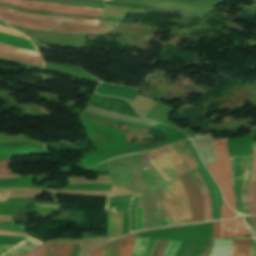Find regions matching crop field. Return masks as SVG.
Segmentation results:
<instances>
[{
    "mask_svg": "<svg viewBox=\"0 0 256 256\" xmlns=\"http://www.w3.org/2000/svg\"><path fill=\"white\" fill-rule=\"evenodd\" d=\"M135 235H130L124 238H121V254L120 256H131L133 249V244L135 240Z\"/></svg>",
    "mask_w": 256,
    "mask_h": 256,
    "instance_id": "92a150f3",
    "label": "crop field"
},
{
    "mask_svg": "<svg viewBox=\"0 0 256 256\" xmlns=\"http://www.w3.org/2000/svg\"><path fill=\"white\" fill-rule=\"evenodd\" d=\"M181 242L169 241L163 256H175Z\"/></svg>",
    "mask_w": 256,
    "mask_h": 256,
    "instance_id": "a9b5d70f",
    "label": "crop field"
},
{
    "mask_svg": "<svg viewBox=\"0 0 256 256\" xmlns=\"http://www.w3.org/2000/svg\"><path fill=\"white\" fill-rule=\"evenodd\" d=\"M251 229L253 230L256 238V217L250 218Z\"/></svg>",
    "mask_w": 256,
    "mask_h": 256,
    "instance_id": "028f5c9d",
    "label": "crop field"
},
{
    "mask_svg": "<svg viewBox=\"0 0 256 256\" xmlns=\"http://www.w3.org/2000/svg\"><path fill=\"white\" fill-rule=\"evenodd\" d=\"M0 47H1V48H5V49H8V50H12V51H17V52L29 54V55L40 56V55L38 54V52L30 51V50H24V49H18V48H14V47H10V46L4 45V44H2V43H0Z\"/></svg>",
    "mask_w": 256,
    "mask_h": 256,
    "instance_id": "ae1a2a85",
    "label": "crop field"
},
{
    "mask_svg": "<svg viewBox=\"0 0 256 256\" xmlns=\"http://www.w3.org/2000/svg\"><path fill=\"white\" fill-rule=\"evenodd\" d=\"M142 229V207H137V230Z\"/></svg>",
    "mask_w": 256,
    "mask_h": 256,
    "instance_id": "750c4746",
    "label": "crop field"
},
{
    "mask_svg": "<svg viewBox=\"0 0 256 256\" xmlns=\"http://www.w3.org/2000/svg\"><path fill=\"white\" fill-rule=\"evenodd\" d=\"M36 206H40V207H51V208H57L58 206H47V205H36Z\"/></svg>",
    "mask_w": 256,
    "mask_h": 256,
    "instance_id": "03da06ac",
    "label": "crop field"
},
{
    "mask_svg": "<svg viewBox=\"0 0 256 256\" xmlns=\"http://www.w3.org/2000/svg\"><path fill=\"white\" fill-rule=\"evenodd\" d=\"M77 1L100 3V4H104V2H105V1H102V0H77Z\"/></svg>",
    "mask_w": 256,
    "mask_h": 256,
    "instance_id": "b80d0937",
    "label": "crop field"
},
{
    "mask_svg": "<svg viewBox=\"0 0 256 256\" xmlns=\"http://www.w3.org/2000/svg\"><path fill=\"white\" fill-rule=\"evenodd\" d=\"M190 197L193 222L203 221V206L201 193L192 178L186 173L180 176Z\"/></svg>",
    "mask_w": 256,
    "mask_h": 256,
    "instance_id": "e52e79f7",
    "label": "crop field"
},
{
    "mask_svg": "<svg viewBox=\"0 0 256 256\" xmlns=\"http://www.w3.org/2000/svg\"><path fill=\"white\" fill-rule=\"evenodd\" d=\"M152 239L136 238L132 256H146Z\"/></svg>",
    "mask_w": 256,
    "mask_h": 256,
    "instance_id": "214f88e0",
    "label": "crop field"
},
{
    "mask_svg": "<svg viewBox=\"0 0 256 256\" xmlns=\"http://www.w3.org/2000/svg\"><path fill=\"white\" fill-rule=\"evenodd\" d=\"M0 235H7V236H17V237H25V233H16V232H10V231H2L0 230Z\"/></svg>",
    "mask_w": 256,
    "mask_h": 256,
    "instance_id": "120bbe31",
    "label": "crop field"
},
{
    "mask_svg": "<svg viewBox=\"0 0 256 256\" xmlns=\"http://www.w3.org/2000/svg\"><path fill=\"white\" fill-rule=\"evenodd\" d=\"M109 1H112V0H109Z\"/></svg>",
    "mask_w": 256,
    "mask_h": 256,
    "instance_id": "89e229c0",
    "label": "crop field"
},
{
    "mask_svg": "<svg viewBox=\"0 0 256 256\" xmlns=\"http://www.w3.org/2000/svg\"><path fill=\"white\" fill-rule=\"evenodd\" d=\"M10 216H13V215H10ZM0 217H7V216H0Z\"/></svg>",
    "mask_w": 256,
    "mask_h": 256,
    "instance_id": "425ffa30",
    "label": "crop field"
},
{
    "mask_svg": "<svg viewBox=\"0 0 256 256\" xmlns=\"http://www.w3.org/2000/svg\"><path fill=\"white\" fill-rule=\"evenodd\" d=\"M175 146L177 150L180 152V154L182 155L188 168L190 169V170H187V172L193 178V180L197 183V185L200 187L202 191L203 201H204V221L212 220V207H211V201H210V194L204 181L201 179V177L198 175V173L194 169V167H197V164L195 163L184 141L175 143Z\"/></svg>",
    "mask_w": 256,
    "mask_h": 256,
    "instance_id": "f4fd0767",
    "label": "crop field"
},
{
    "mask_svg": "<svg viewBox=\"0 0 256 256\" xmlns=\"http://www.w3.org/2000/svg\"><path fill=\"white\" fill-rule=\"evenodd\" d=\"M214 148L217 161L206 164V166L223 192L226 202L235 210L230 173V157L227 155L225 139L214 140Z\"/></svg>",
    "mask_w": 256,
    "mask_h": 256,
    "instance_id": "ac0d7876",
    "label": "crop field"
},
{
    "mask_svg": "<svg viewBox=\"0 0 256 256\" xmlns=\"http://www.w3.org/2000/svg\"><path fill=\"white\" fill-rule=\"evenodd\" d=\"M254 201H255V211H256V189H255V192H254Z\"/></svg>",
    "mask_w": 256,
    "mask_h": 256,
    "instance_id": "5d738f31",
    "label": "crop field"
},
{
    "mask_svg": "<svg viewBox=\"0 0 256 256\" xmlns=\"http://www.w3.org/2000/svg\"><path fill=\"white\" fill-rule=\"evenodd\" d=\"M212 247H213V240L211 239L207 249L203 253H201L199 256H209Z\"/></svg>",
    "mask_w": 256,
    "mask_h": 256,
    "instance_id": "5866460e",
    "label": "crop field"
},
{
    "mask_svg": "<svg viewBox=\"0 0 256 256\" xmlns=\"http://www.w3.org/2000/svg\"><path fill=\"white\" fill-rule=\"evenodd\" d=\"M212 238L220 239V222L213 223Z\"/></svg>",
    "mask_w": 256,
    "mask_h": 256,
    "instance_id": "d3111659",
    "label": "crop field"
},
{
    "mask_svg": "<svg viewBox=\"0 0 256 256\" xmlns=\"http://www.w3.org/2000/svg\"><path fill=\"white\" fill-rule=\"evenodd\" d=\"M0 32H3V33H7V34H11V35H15V36H19V37H23V38H27L25 37L24 35L14 31V30H11V29H7V28H4V27H1L0 26ZM28 39V38H27Z\"/></svg>",
    "mask_w": 256,
    "mask_h": 256,
    "instance_id": "bd1437ed",
    "label": "crop field"
},
{
    "mask_svg": "<svg viewBox=\"0 0 256 256\" xmlns=\"http://www.w3.org/2000/svg\"><path fill=\"white\" fill-rule=\"evenodd\" d=\"M34 149L30 148H6L0 149V154L4 153H31Z\"/></svg>",
    "mask_w": 256,
    "mask_h": 256,
    "instance_id": "730fd06b",
    "label": "crop field"
},
{
    "mask_svg": "<svg viewBox=\"0 0 256 256\" xmlns=\"http://www.w3.org/2000/svg\"><path fill=\"white\" fill-rule=\"evenodd\" d=\"M231 242L214 240V248L210 256H229Z\"/></svg>",
    "mask_w": 256,
    "mask_h": 256,
    "instance_id": "bc2a9ffb",
    "label": "crop field"
},
{
    "mask_svg": "<svg viewBox=\"0 0 256 256\" xmlns=\"http://www.w3.org/2000/svg\"><path fill=\"white\" fill-rule=\"evenodd\" d=\"M252 239L234 240L230 256H249L251 250Z\"/></svg>",
    "mask_w": 256,
    "mask_h": 256,
    "instance_id": "733c2abd",
    "label": "crop field"
},
{
    "mask_svg": "<svg viewBox=\"0 0 256 256\" xmlns=\"http://www.w3.org/2000/svg\"><path fill=\"white\" fill-rule=\"evenodd\" d=\"M0 42L8 44V45L16 46V47L35 50V48L31 44L30 40L19 38V37H14V36L3 34V33H0Z\"/></svg>",
    "mask_w": 256,
    "mask_h": 256,
    "instance_id": "4a817a6b",
    "label": "crop field"
},
{
    "mask_svg": "<svg viewBox=\"0 0 256 256\" xmlns=\"http://www.w3.org/2000/svg\"><path fill=\"white\" fill-rule=\"evenodd\" d=\"M137 206H143V229L167 225L162 186H146Z\"/></svg>",
    "mask_w": 256,
    "mask_h": 256,
    "instance_id": "34b2d1b8",
    "label": "crop field"
},
{
    "mask_svg": "<svg viewBox=\"0 0 256 256\" xmlns=\"http://www.w3.org/2000/svg\"><path fill=\"white\" fill-rule=\"evenodd\" d=\"M250 256H256V240H253L252 251Z\"/></svg>",
    "mask_w": 256,
    "mask_h": 256,
    "instance_id": "e1f06a70",
    "label": "crop field"
},
{
    "mask_svg": "<svg viewBox=\"0 0 256 256\" xmlns=\"http://www.w3.org/2000/svg\"><path fill=\"white\" fill-rule=\"evenodd\" d=\"M0 56L5 57V58H9V59H13V60H17V61H20V62L28 63V64L43 66V63L40 62V61L22 59V58H18V57L9 56V55L3 54V53H0Z\"/></svg>",
    "mask_w": 256,
    "mask_h": 256,
    "instance_id": "eef30255",
    "label": "crop field"
},
{
    "mask_svg": "<svg viewBox=\"0 0 256 256\" xmlns=\"http://www.w3.org/2000/svg\"><path fill=\"white\" fill-rule=\"evenodd\" d=\"M250 234L249 228L242 219L221 222V239Z\"/></svg>",
    "mask_w": 256,
    "mask_h": 256,
    "instance_id": "3316defc",
    "label": "crop field"
},
{
    "mask_svg": "<svg viewBox=\"0 0 256 256\" xmlns=\"http://www.w3.org/2000/svg\"><path fill=\"white\" fill-rule=\"evenodd\" d=\"M120 240L103 246L102 256H119Z\"/></svg>",
    "mask_w": 256,
    "mask_h": 256,
    "instance_id": "dafd665d",
    "label": "crop field"
},
{
    "mask_svg": "<svg viewBox=\"0 0 256 256\" xmlns=\"http://www.w3.org/2000/svg\"><path fill=\"white\" fill-rule=\"evenodd\" d=\"M102 247L91 252V256H101Z\"/></svg>",
    "mask_w": 256,
    "mask_h": 256,
    "instance_id": "0bd39190",
    "label": "crop field"
},
{
    "mask_svg": "<svg viewBox=\"0 0 256 256\" xmlns=\"http://www.w3.org/2000/svg\"><path fill=\"white\" fill-rule=\"evenodd\" d=\"M0 17L8 23L18 24L26 27H36L41 29H48L54 23L52 21H44L38 19H30V18H23V17H16L11 14H7L5 12L0 11Z\"/></svg>",
    "mask_w": 256,
    "mask_h": 256,
    "instance_id": "22f410ed",
    "label": "crop field"
},
{
    "mask_svg": "<svg viewBox=\"0 0 256 256\" xmlns=\"http://www.w3.org/2000/svg\"><path fill=\"white\" fill-rule=\"evenodd\" d=\"M109 28L110 27H105V26H93V25L57 22L50 29L58 30V31H66V32H76V33H85V32L105 33Z\"/></svg>",
    "mask_w": 256,
    "mask_h": 256,
    "instance_id": "d1516ede",
    "label": "crop field"
},
{
    "mask_svg": "<svg viewBox=\"0 0 256 256\" xmlns=\"http://www.w3.org/2000/svg\"><path fill=\"white\" fill-rule=\"evenodd\" d=\"M122 235V212L108 214L107 237Z\"/></svg>",
    "mask_w": 256,
    "mask_h": 256,
    "instance_id": "d9b57169",
    "label": "crop field"
},
{
    "mask_svg": "<svg viewBox=\"0 0 256 256\" xmlns=\"http://www.w3.org/2000/svg\"><path fill=\"white\" fill-rule=\"evenodd\" d=\"M139 196H123L109 198L105 209L114 208V213L129 210L130 226L129 232L135 230V204Z\"/></svg>",
    "mask_w": 256,
    "mask_h": 256,
    "instance_id": "d8731c3e",
    "label": "crop field"
},
{
    "mask_svg": "<svg viewBox=\"0 0 256 256\" xmlns=\"http://www.w3.org/2000/svg\"><path fill=\"white\" fill-rule=\"evenodd\" d=\"M153 161V159H151ZM154 162V161H153ZM155 163V162H154ZM156 165V164H155ZM157 166V165H156ZM159 169V168H158ZM160 170V169H159Z\"/></svg>",
    "mask_w": 256,
    "mask_h": 256,
    "instance_id": "25e5ab78",
    "label": "crop field"
},
{
    "mask_svg": "<svg viewBox=\"0 0 256 256\" xmlns=\"http://www.w3.org/2000/svg\"><path fill=\"white\" fill-rule=\"evenodd\" d=\"M251 161L252 155L246 156V171H245V156L244 157H233L231 158V173L234 196L236 200V212L241 214V203H240V190L242 185V180L244 176V181L241 190V202H242V214L248 215L247 209V198L246 191L251 171Z\"/></svg>",
    "mask_w": 256,
    "mask_h": 256,
    "instance_id": "412701ff",
    "label": "crop field"
},
{
    "mask_svg": "<svg viewBox=\"0 0 256 256\" xmlns=\"http://www.w3.org/2000/svg\"><path fill=\"white\" fill-rule=\"evenodd\" d=\"M0 52H3V51H0ZM4 53H6V52H4ZM7 54H9V55H15V56H21V55L11 54V53H7ZM21 57H25V58H29V59H34V60H40V59L31 58V57H26V56H21ZM40 61H42V60H40Z\"/></svg>",
    "mask_w": 256,
    "mask_h": 256,
    "instance_id": "c035e120",
    "label": "crop field"
},
{
    "mask_svg": "<svg viewBox=\"0 0 256 256\" xmlns=\"http://www.w3.org/2000/svg\"><path fill=\"white\" fill-rule=\"evenodd\" d=\"M11 175H14V174L10 173L8 165L0 166V176H11Z\"/></svg>",
    "mask_w": 256,
    "mask_h": 256,
    "instance_id": "d32e631a",
    "label": "crop field"
},
{
    "mask_svg": "<svg viewBox=\"0 0 256 256\" xmlns=\"http://www.w3.org/2000/svg\"><path fill=\"white\" fill-rule=\"evenodd\" d=\"M168 241L160 240L156 256H162Z\"/></svg>",
    "mask_w": 256,
    "mask_h": 256,
    "instance_id": "1d83c4d3",
    "label": "crop field"
},
{
    "mask_svg": "<svg viewBox=\"0 0 256 256\" xmlns=\"http://www.w3.org/2000/svg\"><path fill=\"white\" fill-rule=\"evenodd\" d=\"M0 201H7L4 192H0Z\"/></svg>",
    "mask_w": 256,
    "mask_h": 256,
    "instance_id": "c21b1889",
    "label": "crop field"
},
{
    "mask_svg": "<svg viewBox=\"0 0 256 256\" xmlns=\"http://www.w3.org/2000/svg\"><path fill=\"white\" fill-rule=\"evenodd\" d=\"M87 256H90V254H88Z\"/></svg>",
    "mask_w": 256,
    "mask_h": 256,
    "instance_id": "73cf0c24",
    "label": "crop field"
},
{
    "mask_svg": "<svg viewBox=\"0 0 256 256\" xmlns=\"http://www.w3.org/2000/svg\"><path fill=\"white\" fill-rule=\"evenodd\" d=\"M162 172L171 180L164 185L168 225L192 222L187 192L179 179L187 167L173 144L148 151Z\"/></svg>",
    "mask_w": 256,
    "mask_h": 256,
    "instance_id": "8a807250",
    "label": "crop field"
},
{
    "mask_svg": "<svg viewBox=\"0 0 256 256\" xmlns=\"http://www.w3.org/2000/svg\"><path fill=\"white\" fill-rule=\"evenodd\" d=\"M9 164V161H0V165Z\"/></svg>",
    "mask_w": 256,
    "mask_h": 256,
    "instance_id": "d23c7cc5",
    "label": "crop field"
},
{
    "mask_svg": "<svg viewBox=\"0 0 256 256\" xmlns=\"http://www.w3.org/2000/svg\"><path fill=\"white\" fill-rule=\"evenodd\" d=\"M0 10L11 13V14H16L18 16L45 19V20L74 22V23H87V24H94V25H98V23H99V21H95V20H79V19H71V18L48 17V16H41V15H35V14H28V13H19L14 10L5 9L1 6H0Z\"/></svg>",
    "mask_w": 256,
    "mask_h": 256,
    "instance_id": "cbeb9de0",
    "label": "crop field"
},
{
    "mask_svg": "<svg viewBox=\"0 0 256 256\" xmlns=\"http://www.w3.org/2000/svg\"><path fill=\"white\" fill-rule=\"evenodd\" d=\"M235 212L231 210L222 198L221 219L234 217Z\"/></svg>",
    "mask_w": 256,
    "mask_h": 256,
    "instance_id": "4177f3b9",
    "label": "crop field"
},
{
    "mask_svg": "<svg viewBox=\"0 0 256 256\" xmlns=\"http://www.w3.org/2000/svg\"><path fill=\"white\" fill-rule=\"evenodd\" d=\"M0 147H33V148L47 150V147L38 146V145L31 144V143H24V142L0 143Z\"/></svg>",
    "mask_w": 256,
    "mask_h": 256,
    "instance_id": "00972430",
    "label": "crop field"
},
{
    "mask_svg": "<svg viewBox=\"0 0 256 256\" xmlns=\"http://www.w3.org/2000/svg\"><path fill=\"white\" fill-rule=\"evenodd\" d=\"M0 1L23 6L30 9L49 10V11H58V12H66V13H73V14L93 15V16H99L102 10V9L82 8V7L53 4V3L35 2V1H29V0H0Z\"/></svg>",
    "mask_w": 256,
    "mask_h": 256,
    "instance_id": "dd49c442",
    "label": "crop field"
},
{
    "mask_svg": "<svg viewBox=\"0 0 256 256\" xmlns=\"http://www.w3.org/2000/svg\"><path fill=\"white\" fill-rule=\"evenodd\" d=\"M256 186V143H253V162L252 171L247 191L248 204H249V215L255 214L254 212V201H253V191Z\"/></svg>",
    "mask_w": 256,
    "mask_h": 256,
    "instance_id": "5142ce71",
    "label": "crop field"
},
{
    "mask_svg": "<svg viewBox=\"0 0 256 256\" xmlns=\"http://www.w3.org/2000/svg\"><path fill=\"white\" fill-rule=\"evenodd\" d=\"M200 176L205 181L211 193V200L213 206V220L220 219V205H221V195L218 187L210 176L209 172L204 166L196 168Z\"/></svg>",
    "mask_w": 256,
    "mask_h": 256,
    "instance_id": "5a996713",
    "label": "crop field"
},
{
    "mask_svg": "<svg viewBox=\"0 0 256 256\" xmlns=\"http://www.w3.org/2000/svg\"><path fill=\"white\" fill-rule=\"evenodd\" d=\"M0 50L6 51V52H11V53H16V52L8 51V50L1 49V48H0ZM17 54H20V53H17ZM22 55H24V54H22ZM26 56H28V55H26ZM31 57H33V56H31ZM37 58H38V57H37Z\"/></svg>",
    "mask_w": 256,
    "mask_h": 256,
    "instance_id": "b54c1fbb",
    "label": "crop field"
},
{
    "mask_svg": "<svg viewBox=\"0 0 256 256\" xmlns=\"http://www.w3.org/2000/svg\"><path fill=\"white\" fill-rule=\"evenodd\" d=\"M46 250H47V246L42 244L23 256H46ZM72 255H73V245L48 246L47 256H72Z\"/></svg>",
    "mask_w": 256,
    "mask_h": 256,
    "instance_id": "28ad6ade",
    "label": "crop field"
}]
</instances>
